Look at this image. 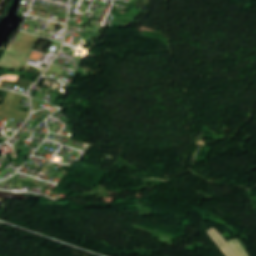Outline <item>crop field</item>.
<instances>
[{"mask_svg":"<svg viewBox=\"0 0 256 256\" xmlns=\"http://www.w3.org/2000/svg\"><path fill=\"white\" fill-rule=\"evenodd\" d=\"M229 244L239 256H248L237 239L229 241Z\"/></svg>","mask_w":256,"mask_h":256,"instance_id":"crop-field-2","label":"crop field"},{"mask_svg":"<svg viewBox=\"0 0 256 256\" xmlns=\"http://www.w3.org/2000/svg\"><path fill=\"white\" fill-rule=\"evenodd\" d=\"M208 233L213 238L214 242L223 250L226 256H237V254L232 250V248L215 228L208 231Z\"/></svg>","mask_w":256,"mask_h":256,"instance_id":"crop-field-1","label":"crop field"}]
</instances>
